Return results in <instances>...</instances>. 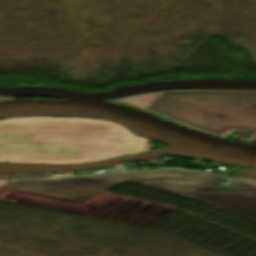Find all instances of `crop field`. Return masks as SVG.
<instances>
[{"instance_id": "crop-field-1", "label": "crop field", "mask_w": 256, "mask_h": 256, "mask_svg": "<svg viewBox=\"0 0 256 256\" xmlns=\"http://www.w3.org/2000/svg\"><path fill=\"white\" fill-rule=\"evenodd\" d=\"M148 139L108 121L24 117L0 121V161L75 164L149 151Z\"/></svg>"}, {"instance_id": "crop-field-2", "label": "crop field", "mask_w": 256, "mask_h": 256, "mask_svg": "<svg viewBox=\"0 0 256 256\" xmlns=\"http://www.w3.org/2000/svg\"><path fill=\"white\" fill-rule=\"evenodd\" d=\"M165 117L180 125L226 137L252 132L256 142V91H163L112 100Z\"/></svg>"}, {"instance_id": "crop-field-3", "label": "crop field", "mask_w": 256, "mask_h": 256, "mask_svg": "<svg viewBox=\"0 0 256 256\" xmlns=\"http://www.w3.org/2000/svg\"><path fill=\"white\" fill-rule=\"evenodd\" d=\"M223 177L184 170H156L66 180L18 181L15 190L85 202L123 182H137L193 198Z\"/></svg>"}, {"instance_id": "crop-field-4", "label": "crop field", "mask_w": 256, "mask_h": 256, "mask_svg": "<svg viewBox=\"0 0 256 256\" xmlns=\"http://www.w3.org/2000/svg\"><path fill=\"white\" fill-rule=\"evenodd\" d=\"M4 199L143 226L175 208L107 192L85 203L15 190Z\"/></svg>"}, {"instance_id": "crop-field-5", "label": "crop field", "mask_w": 256, "mask_h": 256, "mask_svg": "<svg viewBox=\"0 0 256 256\" xmlns=\"http://www.w3.org/2000/svg\"><path fill=\"white\" fill-rule=\"evenodd\" d=\"M193 199L256 223V183L254 182L237 180L230 189L213 186Z\"/></svg>"}, {"instance_id": "crop-field-6", "label": "crop field", "mask_w": 256, "mask_h": 256, "mask_svg": "<svg viewBox=\"0 0 256 256\" xmlns=\"http://www.w3.org/2000/svg\"><path fill=\"white\" fill-rule=\"evenodd\" d=\"M233 177L256 180V169L245 168L239 171L238 173L234 174Z\"/></svg>"}, {"instance_id": "crop-field-7", "label": "crop field", "mask_w": 256, "mask_h": 256, "mask_svg": "<svg viewBox=\"0 0 256 256\" xmlns=\"http://www.w3.org/2000/svg\"><path fill=\"white\" fill-rule=\"evenodd\" d=\"M71 174H59V175H18V178H51V177H68Z\"/></svg>"}, {"instance_id": "crop-field-8", "label": "crop field", "mask_w": 256, "mask_h": 256, "mask_svg": "<svg viewBox=\"0 0 256 256\" xmlns=\"http://www.w3.org/2000/svg\"><path fill=\"white\" fill-rule=\"evenodd\" d=\"M14 178V173H3L0 172V179Z\"/></svg>"}, {"instance_id": "crop-field-9", "label": "crop field", "mask_w": 256, "mask_h": 256, "mask_svg": "<svg viewBox=\"0 0 256 256\" xmlns=\"http://www.w3.org/2000/svg\"><path fill=\"white\" fill-rule=\"evenodd\" d=\"M14 97H0V100H4V99H13Z\"/></svg>"}, {"instance_id": "crop-field-10", "label": "crop field", "mask_w": 256, "mask_h": 256, "mask_svg": "<svg viewBox=\"0 0 256 256\" xmlns=\"http://www.w3.org/2000/svg\"><path fill=\"white\" fill-rule=\"evenodd\" d=\"M9 181H0V187L3 186L4 184H6Z\"/></svg>"}]
</instances>
